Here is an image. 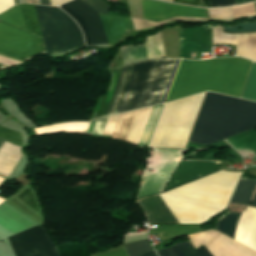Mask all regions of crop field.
<instances>
[{"label":"crop field","instance_id":"8a807250","mask_svg":"<svg viewBox=\"0 0 256 256\" xmlns=\"http://www.w3.org/2000/svg\"><path fill=\"white\" fill-rule=\"evenodd\" d=\"M180 60L161 59L112 68V80L106 97L101 98L94 118L114 115L163 103Z\"/></svg>","mask_w":256,"mask_h":256},{"label":"crop field","instance_id":"ac0d7876","mask_svg":"<svg viewBox=\"0 0 256 256\" xmlns=\"http://www.w3.org/2000/svg\"><path fill=\"white\" fill-rule=\"evenodd\" d=\"M251 62L235 57L206 61L182 60L167 102L202 91L239 97Z\"/></svg>","mask_w":256,"mask_h":256},{"label":"crop field","instance_id":"34b2d1b8","mask_svg":"<svg viewBox=\"0 0 256 256\" xmlns=\"http://www.w3.org/2000/svg\"><path fill=\"white\" fill-rule=\"evenodd\" d=\"M240 174L219 171L160 197L179 223L201 224L225 208Z\"/></svg>","mask_w":256,"mask_h":256},{"label":"crop field","instance_id":"412701ff","mask_svg":"<svg viewBox=\"0 0 256 256\" xmlns=\"http://www.w3.org/2000/svg\"><path fill=\"white\" fill-rule=\"evenodd\" d=\"M256 127V103L206 94L188 141L208 145Z\"/></svg>","mask_w":256,"mask_h":256},{"label":"crop field","instance_id":"f4fd0767","mask_svg":"<svg viewBox=\"0 0 256 256\" xmlns=\"http://www.w3.org/2000/svg\"><path fill=\"white\" fill-rule=\"evenodd\" d=\"M0 20L40 34L34 5H18L0 15ZM0 52L27 60L45 53L42 38L0 22Z\"/></svg>","mask_w":256,"mask_h":256},{"label":"crop field","instance_id":"dd49c442","mask_svg":"<svg viewBox=\"0 0 256 256\" xmlns=\"http://www.w3.org/2000/svg\"><path fill=\"white\" fill-rule=\"evenodd\" d=\"M204 93L165 104L149 146L183 149Z\"/></svg>","mask_w":256,"mask_h":256},{"label":"crop field","instance_id":"e52e79f7","mask_svg":"<svg viewBox=\"0 0 256 256\" xmlns=\"http://www.w3.org/2000/svg\"><path fill=\"white\" fill-rule=\"evenodd\" d=\"M143 16L146 20L156 21L174 17H193V18H207L204 9L187 7L181 5L168 4L153 0H141ZM103 28L108 40L109 45L117 42L118 40L126 37L128 33H130L133 29H139L163 22H168L177 19H192V18H175L164 21L151 22L140 19H131L102 15L99 14ZM194 20H207V19H194Z\"/></svg>","mask_w":256,"mask_h":256},{"label":"crop field","instance_id":"d8731c3e","mask_svg":"<svg viewBox=\"0 0 256 256\" xmlns=\"http://www.w3.org/2000/svg\"><path fill=\"white\" fill-rule=\"evenodd\" d=\"M47 54H57L84 45L74 21L56 7L35 5Z\"/></svg>","mask_w":256,"mask_h":256},{"label":"crop field","instance_id":"5a996713","mask_svg":"<svg viewBox=\"0 0 256 256\" xmlns=\"http://www.w3.org/2000/svg\"><path fill=\"white\" fill-rule=\"evenodd\" d=\"M149 111L150 108H146L107 117L108 121L107 118L96 120L90 134L101 135L107 121L102 135L138 144Z\"/></svg>","mask_w":256,"mask_h":256},{"label":"crop field","instance_id":"3316defc","mask_svg":"<svg viewBox=\"0 0 256 256\" xmlns=\"http://www.w3.org/2000/svg\"><path fill=\"white\" fill-rule=\"evenodd\" d=\"M240 214L228 213L225 218L220 220L216 230L234 239ZM235 241L256 251V208L248 207L242 212L238 220Z\"/></svg>","mask_w":256,"mask_h":256},{"label":"crop field","instance_id":"28ad6ade","mask_svg":"<svg viewBox=\"0 0 256 256\" xmlns=\"http://www.w3.org/2000/svg\"><path fill=\"white\" fill-rule=\"evenodd\" d=\"M14 256H57L44 229L39 225L6 239Z\"/></svg>","mask_w":256,"mask_h":256},{"label":"crop field","instance_id":"d1516ede","mask_svg":"<svg viewBox=\"0 0 256 256\" xmlns=\"http://www.w3.org/2000/svg\"><path fill=\"white\" fill-rule=\"evenodd\" d=\"M65 5L73 10L86 24L89 34L90 45L107 44L105 34L97 12H95L81 0H74ZM66 6L62 5L60 6V8L68 13L80 25L86 44L89 45L88 34L84 23L73 11L68 9Z\"/></svg>","mask_w":256,"mask_h":256},{"label":"crop field","instance_id":"22f410ed","mask_svg":"<svg viewBox=\"0 0 256 256\" xmlns=\"http://www.w3.org/2000/svg\"><path fill=\"white\" fill-rule=\"evenodd\" d=\"M236 45V55L256 62V33L232 35L222 33V28H213V45Z\"/></svg>","mask_w":256,"mask_h":256},{"label":"crop field","instance_id":"cbeb9de0","mask_svg":"<svg viewBox=\"0 0 256 256\" xmlns=\"http://www.w3.org/2000/svg\"><path fill=\"white\" fill-rule=\"evenodd\" d=\"M128 47H135V46L128 45V46L121 47V49L128 48ZM145 50H146L148 59L157 58V55H165L161 33L154 37H147ZM145 50H144V45L135 47V48L121 50L124 65L135 62V61L147 59Z\"/></svg>","mask_w":256,"mask_h":256},{"label":"crop field","instance_id":"5142ce71","mask_svg":"<svg viewBox=\"0 0 256 256\" xmlns=\"http://www.w3.org/2000/svg\"><path fill=\"white\" fill-rule=\"evenodd\" d=\"M138 203L148 217L149 226L164 223L179 224L166 205L161 201L159 195L139 200Z\"/></svg>","mask_w":256,"mask_h":256},{"label":"crop field","instance_id":"d9b57169","mask_svg":"<svg viewBox=\"0 0 256 256\" xmlns=\"http://www.w3.org/2000/svg\"><path fill=\"white\" fill-rule=\"evenodd\" d=\"M255 185L256 180L241 177L230 202L256 207V196L253 203L248 205Z\"/></svg>","mask_w":256,"mask_h":256},{"label":"crop field","instance_id":"733c2abd","mask_svg":"<svg viewBox=\"0 0 256 256\" xmlns=\"http://www.w3.org/2000/svg\"><path fill=\"white\" fill-rule=\"evenodd\" d=\"M175 246L183 256H212L203 245L196 249L199 255L189 241L175 244ZM175 246L157 251V253L159 256H182Z\"/></svg>","mask_w":256,"mask_h":256},{"label":"crop field","instance_id":"4a817a6b","mask_svg":"<svg viewBox=\"0 0 256 256\" xmlns=\"http://www.w3.org/2000/svg\"><path fill=\"white\" fill-rule=\"evenodd\" d=\"M88 124H89V122L60 123V124H54L51 126L35 128V131H36L37 135L57 133V132L69 133L72 131H85L86 132Z\"/></svg>","mask_w":256,"mask_h":256},{"label":"crop field","instance_id":"bc2a9ffb","mask_svg":"<svg viewBox=\"0 0 256 256\" xmlns=\"http://www.w3.org/2000/svg\"><path fill=\"white\" fill-rule=\"evenodd\" d=\"M242 98L256 101V64L253 63Z\"/></svg>","mask_w":256,"mask_h":256},{"label":"crop field","instance_id":"214f88e0","mask_svg":"<svg viewBox=\"0 0 256 256\" xmlns=\"http://www.w3.org/2000/svg\"><path fill=\"white\" fill-rule=\"evenodd\" d=\"M128 256H139L147 251H151L148 240L124 245Z\"/></svg>","mask_w":256,"mask_h":256},{"label":"crop field","instance_id":"92a150f3","mask_svg":"<svg viewBox=\"0 0 256 256\" xmlns=\"http://www.w3.org/2000/svg\"><path fill=\"white\" fill-rule=\"evenodd\" d=\"M211 20H230L233 19L230 8H218L207 10Z\"/></svg>","mask_w":256,"mask_h":256},{"label":"crop field","instance_id":"dafd665d","mask_svg":"<svg viewBox=\"0 0 256 256\" xmlns=\"http://www.w3.org/2000/svg\"><path fill=\"white\" fill-rule=\"evenodd\" d=\"M0 137L22 144L21 135L18 132L0 127Z\"/></svg>","mask_w":256,"mask_h":256},{"label":"crop field","instance_id":"00972430","mask_svg":"<svg viewBox=\"0 0 256 256\" xmlns=\"http://www.w3.org/2000/svg\"><path fill=\"white\" fill-rule=\"evenodd\" d=\"M83 2H85L98 13L106 14L109 9L108 6L100 0H83Z\"/></svg>","mask_w":256,"mask_h":256},{"label":"crop field","instance_id":"a9b5d70f","mask_svg":"<svg viewBox=\"0 0 256 256\" xmlns=\"http://www.w3.org/2000/svg\"><path fill=\"white\" fill-rule=\"evenodd\" d=\"M212 7L235 5L234 0H208Z\"/></svg>","mask_w":256,"mask_h":256},{"label":"crop field","instance_id":"4177f3b9","mask_svg":"<svg viewBox=\"0 0 256 256\" xmlns=\"http://www.w3.org/2000/svg\"><path fill=\"white\" fill-rule=\"evenodd\" d=\"M14 1L13 0H0V12L10 8L11 6H13ZM17 5V1L15 0V4Z\"/></svg>","mask_w":256,"mask_h":256},{"label":"crop field","instance_id":"730fd06b","mask_svg":"<svg viewBox=\"0 0 256 256\" xmlns=\"http://www.w3.org/2000/svg\"><path fill=\"white\" fill-rule=\"evenodd\" d=\"M171 2L172 0H165ZM199 0H173L175 3H183L196 6ZM200 2V1H199Z\"/></svg>","mask_w":256,"mask_h":256},{"label":"crop field","instance_id":"eef30255","mask_svg":"<svg viewBox=\"0 0 256 256\" xmlns=\"http://www.w3.org/2000/svg\"><path fill=\"white\" fill-rule=\"evenodd\" d=\"M68 0H53V5H58L60 3L66 2ZM40 4H46V5H51L50 0H39Z\"/></svg>","mask_w":256,"mask_h":256},{"label":"crop field","instance_id":"ae1a2a85","mask_svg":"<svg viewBox=\"0 0 256 256\" xmlns=\"http://www.w3.org/2000/svg\"><path fill=\"white\" fill-rule=\"evenodd\" d=\"M103 256H126V254L124 253L123 249L118 250L116 252L107 254V255H103Z\"/></svg>","mask_w":256,"mask_h":256},{"label":"crop field","instance_id":"d3111659","mask_svg":"<svg viewBox=\"0 0 256 256\" xmlns=\"http://www.w3.org/2000/svg\"><path fill=\"white\" fill-rule=\"evenodd\" d=\"M236 1H237V4H244V3H248L256 0H236Z\"/></svg>","mask_w":256,"mask_h":256},{"label":"crop field","instance_id":"750c4746","mask_svg":"<svg viewBox=\"0 0 256 256\" xmlns=\"http://www.w3.org/2000/svg\"><path fill=\"white\" fill-rule=\"evenodd\" d=\"M141 256H157V255L155 254V252L151 251V252H147Z\"/></svg>","mask_w":256,"mask_h":256},{"label":"crop field","instance_id":"bd1437ed","mask_svg":"<svg viewBox=\"0 0 256 256\" xmlns=\"http://www.w3.org/2000/svg\"><path fill=\"white\" fill-rule=\"evenodd\" d=\"M7 66H10V65L0 64V69L3 68V67H7Z\"/></svg>","mask_w":256,"mask_h":256},{"label":"crop field","instance_id":"1d83c4d3","mask_svg":"<svg viewBox=\"0 0 256 256\" xmlns=\"http://www.w3.org/2000/svg\"><path fill=\"white\" fill-rule=\"evenodd\" d=\"M2 143H3V141H2V140H0V146L2 145Z\"/></svg>","mask_w":256,"mask_h":256}]
</instances>
